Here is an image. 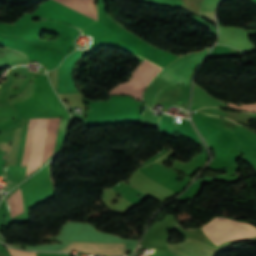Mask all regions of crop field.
<instances>
[{
  "instance_id": "2",
  "label": "crop field",
  "mask_w": 256,
  "mask_h": 256,
  "mask_svg": "<svg viewBox=\"0 0 256 256\" xmlns=\"http://www.w3.org/2000/svg\"><path fill=\"white\" fill-rule=\"evenodd\" d=\"M64 6H67L79 13H82L94 20L97 19L96 9L93 0H54ZM52 0L42 3L33 14L40 15L47 19L59 20L70 23L80 29L85 28L94 20L79 14L67 7H64ZM82 31V30H81Z\"/></svg>"
},
{
  "instance_id": "7",
  "label": "crop field",
  "mask_w": 256,
  "mask_h": 256,
  "mask_svg": "<svg viewBox=\"0 0 256 256\" xmlns=\"http://www.w3.org/2000/svg\"><path fill=\"white\" fill-rule=\"evenodd\" d=\"M10 215L11 217H15L24 212L23 204L21 199L20 189L14 192L8 199Z\"/></svg>"
},
{
  "instance_id": "5",
  "label": "crop field",
  "mask_w": 256,
  "mask_h": 256,
  "mask_svg": "<svg viewBox=\"0 0 256 256\" xmlns=\"http://www.w3.org/2000/svg\"><path fill=\"white\" fill-rule=\"evenodd\" d=\"M228 241L256 236V228L245 223L216 217L210 222Z\"/></svg>"
},
{
  "instance_id": "10",
  "label": "crop field",
  "mask_w": 256,
  "mask_h": 256,
  "mask_svg": "<svg viewBox=\"0 0 256 256\" xmlns=\"http://www.w3.org/2000/svg\"><path fill=\"white\" fill-rule=\"evenodd\" d=\"M229 106L237 108V109H241V110L256 111V104L255 105H242V107H237L230 103Z\"/></svg>"
},
{
  "instance_id": "4",
  "label": "crop field",
  "mask_w": 256,
  "mask_h": 256,
  "mask_svg": "<svg viewBox=\"0 0 256 256\" xmlns=\"http://www.w3.org/2000/svg\"><path fill=\"white\" fill-rule=\"evenodd\" d=\"M160 71V68L151 64L148 61H143L140 66L137 67L133 73L132 78L125 84H120L115 89L110 91L109 94H128L135 99L141 100V92L143 88L149 83V81Z\"/></svg>"
},
{
  "instance_id": "8",
  "label": "crop field",
  "mask_w": 256,
  "mask_h": 256,
  "mask_svg": "<svg viewBox=\"0 0 256 256\" xmlns=\"http://www.w3.org/2000/svg\"><path fill=\"white\" fill-rule=\"evenodd\" d=\"M110 29L107 28L104 24H102L99 20L90 26L86 27L84 30V34L92 36L94 39L106 32Z\"/></svg>"
},
{
  "instance_id": "9",
  "label": "crop field",
  "mask_w": 256,
  "mask_h": 256,
  "mask_svg": "<svg viewBox=\"0 0 256 256\" xmlns=\"http://www.w3.org/2000/svg\"><path fill=\"white\" fill-rule=\"evenodd\" d=\"M35 17H38L36 15H29V14H26V15H23L17 22H15L14 24H17V25H23V24H26L28 23L29 21H31L33 18ZM40 18V17H39Z\"/></svg>"
},
{
  "instance_id": "1",
  "label": "crop field",
  "mask_w": 256,
  "mask_h": 256,
  "mask_svg": "<svg viewBox=\"0 0 256 256\" xmlns=\"http://www.w3.org/2000/svg\"><path fill=\"white\" fill-rule=\"evenodd\" d=\"M49 120H50V118H38V120H37V125H36V130H35V135H34V140H33V144H32V149H31V154H30V159H29L26 176L31 174L32 172H34L42 164L44 147H45L47 131H48V126H49ZM59 120H60V118H51V120H50L48 137H47L45 153H44V158H43V164L53 154L56 137H57V132H58ZM23 128L24 127L17 129V133H16V130L14 131L13 146H12L10 161H11V158L13 155L15 133H16V140H15V147H14V155H13L11 163L9 161V163L11 165H17V163H18Z\"/></svg>"
},
{
  "instance_id": "6",
  "label": "crop field",
  "mask_w": 256,
  "mask_h": 256,
  "mask_svg": "<svg viewBox=\"0 0 256 256\" xmlns=\"http://www.w3.org/2000/svg\"><path fill=\"white\" fill-rule=\"evenodd\" d=\"M71 249L94 255H122L124 243L68 242L61 251L69 253Z\"/></svg>"
},
{
  "instance_id": "3",
  "label": "crop field",
  "mask_w": 256,
  "mask_h": 256,
  "mask_svg": "<svg viewBox=\"0 0 256 256\" xmlns=\"http://www.w3.org/2000/svg\"><path fill=\"white\" fill-rule=\"evenodd\" d=\"M211 49V48H210ZM205 52L186 55L162 70L157 77L173 84H187L190 81L192 70L203 60Z\"/></svg>"
}]
</instances>
